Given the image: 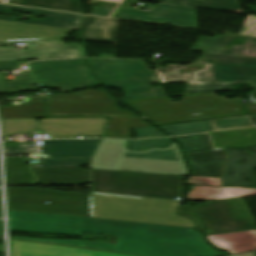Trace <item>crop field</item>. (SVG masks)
<instances>
[{
	"instance_id": "obj_1",
	"label": "crop field",
	"mask_w": 256,
	"mask_h": 256,
	"mask_svg": "<svg viewBox=\"0 0 256 256\" xmlns=\"http://www.w3.org/2000/svg\"><path fill=\"white\" fill-rule=\"evenodd\" d=\"M9 231L118 236L116 245L81 241V247L133 256H221L189 228L145 223L8 211Z\"/></svg>"
},
{
	"instance_id": "obj_2",
	"label": "crop field",
	"mask_w": 256,
	"mask_h": 256,
	"mask_svg": "<svg viewBox=\"0 0 256 256\" xmlns=\"http://www.w3.org/2000/svg\"><path fill=\"white\" fill-rule=\"evenodd\" d=\"M225 98L210 93L184 96L177 102L168 97L122 102L157 125L245 115L242 98Z\"/></svg>"
},
{
	"instance_id": "obj_3",
	"label": "crop field",
	"mask_w": 256,
	"mask_h": 256,
	"mask_svg": "<svg viewBox=\"0 0 256 256\" xmlns=\"http://www.w3.org/2000/svg\"><path fill=\"white\" fill-rule=\"evenodd\" d=\"M180 202L90 193L91 217L194 228L190 219L179 217Z\"/></svg>"
},
{
	"instance_id": "obj_4",
	"label": "crop field",
	"mask_w": 256,
	"mask_h": 256,
	"mask_svg": "<svg viewBox=\"0 0 256 256\" xmlns=\"http://www.w3.org/2000/svg\"><path fill=\"white\" fill-rule=\"evenodd\" d=\"M92 172V190L176 200L182 196L181 176L131 172Z\"/></svg>"
},
{
	"instance_id": "obj_5",
	"label": "crop field",
	"mask_w": 256,
	"mask_h": 256,
	"mask_svg": "<svg viewBox=\"0 0 256 256\" xmlns=\"http://www.w3.org/2000/svg\"><path fill=\"white\" fill-rule=\"evenodd\" d=\"M27 66L28 74L14 81L4 82L0 73V93L33 89V84L60 87L63 91L98 86L82 59L43 61Z\"/></svg>"
},
{
	"instance_id": "obj_6",
	"label": "crop field",
	"mask_w": 256,
	"mask_h": 256,
	"mask_svg": "<svg viewBox=\"0 0 256 256\" xmlns=\"http://www.w3.org/2000/svg\"><path fill=\"white\" fill-rule=\"evenodd\" d=\"M96 76L110 87L121 86L127 96L122 100L164 96L161 87L150 89L158 79L142 61L88 59Z\"/></svg>"
},
{
	"instance_id": "obj_7",
	"label": "crop field",
	"mask_w": 256,
	"mask_h": 256,
	"mask_svg": "<svg viewBox=\"0 0 256 256\" xmlns=\"http://www.w3.org/2000/svg\"><path fill=\"white\" fill-rule=\"evenodd\" d=\"M7 196L8 210L90 217L89 194L7 188Z\"/></svg>"
},
{
	"instance_id": "obj_8",
	"label": "crop field",
	"mask_w": 256,
	"mask_h": 256,
	"mask_svg": "<svg viewBox=\"0 0 256 256\" xmlns=\"http://www.w3.org/2000/svg\"><path fill=\"white\" fill-rule=\"evenodd\" d=\"M180 213L199 221V229L207 235L256 229L254 218L240 198L208 201L201 206H183Z\"/></svg>"
},
{
	"instance_id": "obj_9",
	"label": "crop field",
	"mask_w": 256,
	"mask_h": 256,
	"mask_svg": "<svg viewBox=\"0 0 256 256\" xmlns=\"http://www.w3.org/2000/svg\"><path fill=\"white\" fill-rule=\"evenodd\" d=\"M50 97L49 114H101L136 116L117 109L115 100L105 91L86 90ZM138 117V116H136Z\"/></svg>"
},
{
	"instance_id": "obj_10",
	"label": "crop field",
	"mask_w": 256,
	"mask_h": 256,
	"mask_svg": "<svg viewBox=\"0 0 256 256\" xmlns=\"http://www.w3.org/2000/svg\"><path fill=\"white\" fill-rule=\"evenodd\" d=\"M235 37L245 40L243 45H233L230 49H223ZM192 50L204 52L197 62L215 59L214 63L256 64V38L253 37L235 35L215 37L213 39L201 37Z\"/></svg>"
},
{
	"instance_id": "obj_11",
	"label": "crop field",
	"mask_w": 256,
	"mask_h": 256,
	"mask_svg": "<svg viewBox=\"0 0 256 256\" xmlns=\"http://www.w3.org/2000/svg\"><path fill=\"white\" fill-rule=\"evenodd\" d=\"M100 140L42 141V151L49 155L43 167L88 165Z\"/></svg>"
},
{
	"instance_id": "obj_12",
	"label": "crop field",
	"mask_w": 256,
	"mask_h": 256,
	"mask_svg": "<svg viewBox=\"0 0 256 256\" xmlns=\"http://www.w3.org/2000/svg\"><path fill=\"white\" fill-rule=\"evenodd\" d=\"M112 17L198 29L195 8L164 3L153 6L149 12L118 8Z\"/></svg>"
},
{
	"instance_id": "obj_13",
	"label": "crop field",
	"mask_w": 256,
	"mask_h": 256,
	"mask_svg": "<svg viewBox=\"0 0 256 256\" xmlns=\"http://www.w3.org/2000/svg\"><path fill=\"white\" fill-rule=\"evenodd\" d=\"M35 44L36 47H31ZM28 50L15 51L14 48H0V62L32 59L85 57L79 44H65L61 40L28 41Z\"/></svg>"
},
{
	"instance_id": "obj_14",
	"label": "crop field",
	"mask_w": 256,
	"mask_h": 256,
	"mask_svg": "<svg viewBox=\"0 0 256 256\" xmlns=\"http://www.w3.org/2000/svg\"><path fill=\"white\" fill-rule=\"evenodd\" d=\"M106 122L103 118L44 119L36 131L49 134V138L99 137Z\"/></svg>"
},
{
	"instance_id": "obj_15",
	"label": "crop field",
	"mask_w": 256,
	"mask_h": 256,
	"mask_svg": "<svg viewBox=\"0 0 256 256\" xmlns=\"http://www.w3.org/2000/svg\"><path fill=\"white\" fill-rule=\"evenodd\" d=\"M227 160L223 175V186H251L256 184L253 169H256V148H249L253 155H247V149L225 148ZM240 162V164H236Z\"/></svg>"
},
{
	"instance_id": "obj_16",
	"label": "crop field",
	"mask_w": 256,
	"mask_h": 256,
	"mask_svg": "<svg viewBox=\"0 0 256 256\" xmlns=\"http://www.w3.org/2000/svg\"><path fill=\"white\" fill-rule=\"evenodd\" d=\"M11 9L45 17V19L22 21V22H18V23L35 24V25H43V26H52V27L71 29L76 26H81L87 21L86 17L76 15V14L21 8V7L7 6V5H0V14L10 15ZM0 20L16 22L15 17L0 16Z\"/></svg>"
},
{
	"instance_id": "obj_17",
	"label": "crop field",
	"mask_w": 256,
	"mask_h": 256,
	"mask_svg": "<svg viewBox=\"0 0 256 256\" xmlns=\"http://www.w3.org/2000/svg\"><path fill=\"white\" fill-rule=\"evenodd\" d=\"M12 256H125L70 247L26 243L11 240Z\"/></svg>"
},
{
	"instance_id": "obj_18",
	"label": "crop field",
	"mask_w": 256,
	"mask_h": 256,
	"mask_svg": "<svg viewBox=\"0 0 256 256\" xmlns=\"http://www.w3.org/2000/svg\"><path fill=\"white\" fill-rule=\"evenodd\" d=\"M40 184L91 183L90 170L80 167L32 168Z\"/></svg>"
},
{
	"instance_id": "obj_19",
	"label": "crop field",
	"mask_w": 256,
	"mask_h": 256,
	"mask_svg": "<svg viewBox=\"0 0 256 256\" xmlns=\"http://www.w3.org/2000/svg\"><path fill=\"white\" fill-rule=\"evenodd\" d=\"M190 66L202 67L196 73H180V69H187ZM190 66L180 67L178 65H169V68L159 67L156 71L162 84L166 82H187V84H197L201 82L213 81L211 63H195Z\"/></svg>"
},
{
	"instance_id": "obj_20",
	"label": "crop field",
	"mask_w": 256,
	"mask_h": 256,
	"mask_svg": "<svg viewBox=\"0 0 256 256\" xmlns=\"http://www.w3.org/2000/svg\"><path fill=\"white\" fill-rule=\"evenodd\" d=\"M207 239L216 248L226 250L230 254H238L256 250V230L207 236Z\"/></svg>"
},
{
	"instance_id": "obj_21",
	"label": "crop field",
	"mask_w": 256,
	"mask_h": 256,
	"mask_svg": "<svg viewBox=\"0 0 256 256\" xmlns=\"http://www.w3.org/2000/svg\"><path fill=\"white\" fill-rule=\"evenodd\" d=\"M191 166L195 169L194 175L207 177H221L223 168V151L210 150L202 152L187 153Z\"/></svg>"
},
{
	"instance_id": "obj_22",
	"label": "crop field",
	"mask_w": 256,
	"mask_h": 256,
	"mask_svg": "<svg viewBox=\"0 0 256 256\" xmlns=\"http://www.w3.org/2000/svg\"><path fill=\"white\" fill-rule=\"evenodd\" d=\"M213 77L223 83H248L256 89V65L214 64Z\"/></svg>"
},
{
	"instance_id": "obj_23",
	"label": "crop field",
	"mask_w": 256,
	"mask_h": 256,
	"mask_svg": "<svg viewBox=\"0 0 256 256\" xmlns=\"http://www.w3.org/2000/svg\"><path fill=\"white\" fill-rule=\"evenodd\" d=\"M118 20L94 17L92 22L79 32L80 40L115 43Z\"/></svg>"
},
{
	"instance_id": "obj_24",
	"label": "crop field",
	"mask_w": 256,
	"mask_h": 256,
	"mask_svg": "<svg viewBox=\"0 0 256 256\" xmlns=\"http://www.w3.org/2000/svg\"><path fill=\"white\" fill-rule=\"evenodd\" d=\"M256 190L244 188H212L206 186H194L188 194V200H216L234 197L255 196Z\"/></svg>"
},
{
	"instance_id": "obj_25",
	"label": "crop field",
	"mask_w": 256,
	"mask_h": 256,
	"mask_svg": "<svg viewBox=\"0 0 256 256\" xmlns=\"http://www.w3.org/2000/svg\"><path fill=\"white\" fill-rule=\"evenodd\" d=\"M6 185L37 184L23 157L6 158Z\"/></svg>"
},
{
	"instance_id": "obj_26",
	"label": "crop field",
	"mask_w": 256,
	"mask_h": 256,
	"mask_svg": "<svg viewBox=\"0 0 256 256\" xmlns=\"http://www.w3.org/2000/svg\"><path fill=\"white\" fill-rule=\"evenodd\" d=\"M152 126L142 119L111 117L106 127V138H132L131 128Z\"/></svg>"
},
{
	"instance_id": "obj_27",
	"label": "crop field",
	"mask_w": 256,
	"mask_h": 256,
	"mask_svg": "<svg viewBox=\"0 0 256 256\" xmlns=\"http://www.w3.org/2000/svg\"><path fill=\"white\" fill-rule=\"evenodd\" d=\"M242 13L235 0H146Z\"/></svg>"
},
{
	"instance_id": "obj_28",
	"label": "crop field",
	"mask_w": 256,
	"mask_h": 256,
	"mask_svg": "<svg viewBox=\"0 0 256 256\" xmlns=\"http://www.w3.org/2000/svg\"><path fill=\"white\" fill-rule=\"evenodd\" d=\"M80 4L73 0H21L19 5L82 14Z\"/></svg>"
},
{
	"instance_id": "obj_29",
	"label": "crop field",
	"mask_w": 256,
	"mask_h": 256,
	"mask_svg": "<svg viewBox=\"0 0 256 256\" xmlns=\"http://www.w3.org/2000/svg\"><path fill=\"white\" fill-rule=\"evenodd\" d=\"M162 128L173 136L201 133V132H207V131L213 130L209 121H199L195 123L167 125V126H162Z\"/></svg>"
},
{
	"instance_id": "obj_30",
	"label": "crop field",
	"mask_w": 256,
	"mask_h": 256,
	"mask_svg": "<svg viewBox=\"0 0 256 256\" xmlns=\"http://www.w3.org/2000/svg\"><path fill=\"white\" fill-rule=\"evenodd\" d=\"M2 124L3 136L11 133L35 132L37 127L36 119L2 120Z\"/></svg>"
},
{
	"instance_id": "obj_31",
	"label": "crop field",
	"mask_w": 256,
	"mask_h": 256,
	"mask_svg": "<svg viewBox=\"0 0 256 256\" xmlns=\"http://www.w3.org/2000/svg\"><path fill=\"white\" fill-rule=\"evenodd\" d=\"M180 142L184 144L186 152L210 150L212 146L210 144L207 134L196 136H184L176 137Z\"/></svg>"
},
{
	"instance_id": "obj_32",
	"label": "crop field",
	"mask_w": 256,
	"mask_h": 256,
	"mask_svg": "<svg viewBox=\"0 0 256 256\" xmlns=\"http://www.w3.org/2000/svg\"><path fill=\"white\" fill-rule=\"evenodd\" d=\"M230 90H234L232 84H222V81H213L197 85H187L186 95Z\"/></svg>"
},
{
	"instance_id": "obj_33",
	"label": "crop field",
	"mask_w": 256,
	"mask_h": 256,
	"mask_svg": "<svg viewBox=\"0 0 256 256\" xmlns=\"http://www.w3.org/2000/svg\"><path fill=\"white\" fill-rule=\"evenodd\" d=\"M210 122L214 130L253 126L249 116L232 119H218Z\"/></svg>"
},
{
	"instance_id": "obj_34",
	"label": "crop field",
	"mask_w": 256,
	"mask_h": 256,
	"mask_svg": "<svg viewBox=\"0 0 256 256\" xmlns=\"http://www.w3.org/2000/svg\"><path fill=\"white\" fill-rule=\"evenodd\" d=\"M169 138L139 139L130 141L129 149L141 150L150 146L165 147L169 144Z\"/></svg>"
},
{
	"instance_id": "obj_35",
	"label": "crop field",
	"mask_w": 256,
	"mask_h": 256,
	"mask_svg": "<svg viewBox=\"0 0 256 256\" xmlns=\"http://www.w3.org/2000/svg\"><path fill=\"white\" fill-rule=\"evenodd\" d=\"M187 184L190 185H206V186H212V187H221L220 179L216 178H206V177H197L192 176L190 177Z\"/></svg>"
},
{
	"instance_id": "obj_36",
	"label": "crop field",
	"mask_w": 256,
	"mask_h": 256,
	"mask_svg": "<svg viewBox=\"0 0 256 256\" xmlns=\"http://www.w3.org/2000/svg\"><path fill=\"white\" fill-rule=\"evenodd\" d=\"M31 154L30 145H4V155Z\"/></svg>"
},
{
	"instance_id": "obj_37",
	"label": "crop field",
	"mask_w": 256,
	"mask_h": 256,
	"mask_svg": "<svg viewBox=\"0 0 256 256\" xmlns=\"http://www.w3.org/2000/svg\"><path fill=\"white\" fill-rule=\"evenodd\" d=\"M239 35L256 37V16H248Z\"/></svg>"
},
{
	"instance_id": "obj_38",
	"label": "crop field",
	"mask_w": 256,
	"mask_h": 256,
	"mask_svg": "<svg viewBox=\"0 0 256 256\" xmlns=\"http://www.w3.org/2000/svg\"><path fill=\"white\" fill-rule=\"evenodd\" d=\"M21 240L27 241H36V242H46V243H58L60 245L74 246L80 248V241H72V240H61V239H27V238H17Z\"/></svg>"
},
{
	"instance_id": "obj_39",
	"label": "crop field",
	"mask_w": 256,
	"mask_h": 256,
	"mask_svg": "<svg viewBox=\"0 0 256 256\" xmlns=\"http://www.w3.org/2000/svg\"><path fill=\"white\" fill-rule=\"evenodd\" d=\"M134 131L138 135L137 138L165 136L163 133H161L159 130H157L153 126L152 127H147V128H141V129H134Z\"/></svg>"
},
{
	"instance_id": "obj_40",
	"label": "crop field",
	"mask_w": 256,
	"mask_h": 256,
	"mask_svg": "<svg viewBox=\"0 0 256 256\" xmlns=\"http://www.w3.org/2000/svg\"><path fill=\"white\" fill-rule=\"evenodd\" d=\"M114 11L112 8L93 6L92 14L108 17Z\"/></svg>"
},
{
	"instance_id": "obj_41",
	"label": "crop field",
	"mask_w": 256,
	"mask_h": 256,
	"mask_svg": "<svg viewBox=\"0 0 256 256\" xmlns=\"http://www.w3.org/2000/svg\"><path fill=\"white\" fill-rule=\"evenodd\" d=\"M19 66L18 62H4L0 63V71L1 70H11L15 67Z\"/></svg>"
},
{
	"instance_id": "obj_42",
	"label": "crop field",
	"mask_w": 256,
	"mask_h": 256,
	"mask_svg": "<svg viewBox=\"0 0 256 256\" xmlns=\"http://www.w3.org/2000/svg\"><path fill=\"white\" fill-rule=\"evenodd\" d=\"M0 45H15V42H0Z\"/></svg>"
},
{
	"instance_id": "obj_43",
	"label": "crop field",
	"mask_w": 256,
	"mask_h": 256,
	"mask_svg": "<svg viewBox=\"0 0 256 256\" xmlns=\"http://www.w3.org/2000/svg\"><path fill=\"white\" fill-rule=\"evenodd\" d=\"M0 233H3V226H2V220H0Z\"/></svg>"
},
{
	"instance_id": "obj_44",
	"label": "crop field",
	"mask_w": 256,
	"mask_h": 256,
	"mask_svg": "<svg viewBox=\"0 0 256 256\" xmlns=\"http://www.w3.org/2000/svg\"><path fill=\"white\" fill-rule=\"evenodd\" d=\"M0 218H2V211H1V196H0Z\"/></svg>"
},
{
	"instance_id": "obj_45",
	"label": "crop field",
	"mask_w": 256,
	"mask_h": 256,
	"mask_svg": "<svg viewBox=\"0 0 256 256\" xmlns=\"http://www.w3.org/2000/svg\"><path fill=\"white\" fill-rule=\"evenodd\" d=\"M251 117H252V119H253L254 123L256 124V115L251 116Z\"/></svg>"
},
{
	"instance_id": "obj_46",
	"label": "crop field",
	"mask_w": 256,
	"mask_h": 256,
	"mask_svg": "<svg viewBox=\"0 0 256 256\" xmlns=\"http://www.w3.org/2000/svg\"><path fill=\"white\" fill-rule=\"evenodd\" d=\"M79 27L74 28V30L78 29Z\"/></svg>"
}]
</instances>
